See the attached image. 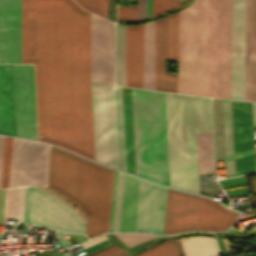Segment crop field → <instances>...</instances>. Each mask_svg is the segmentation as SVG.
Returning a JSON list of instances; mask_svg holds the SVG:
<instances>
[{"mask_svg": "<svg viewBox=\"0 0 256 256\" xmlns=\"http://www.w3.org/2000/svg\"><path fill=\"white\" fill-rule=\"evenodd\" d=\"M114 170L51 146L47 187L78 205L86 234L109 232Z\"/></svg>", "mask_w": 256, "mask_h": 256, "instance_id": "obj_4", "label": "crop field"}, {"mask_svg": "<svg viewBox=\"0 0 256 256\" xmlns=\"http://www.w3.org/2000/svg\"><path fill=\"white\" fill-rule=\"evenodd\" d=\"M171 242H172V245L174 247L176 256H185L182 245L180 243V240L177 239V240H173Z\"/></svg>", "mask_w": 256, "mask_h": 256, "instance_id": "obj_39", "label": "crop field"}, {"mask_svg": "<svg viewBox=\"0 0 256 256\" xmlns=\"http://www.w3.org/2000/svg\"><path fill=\"white\" fill-rule=\"evenodd\" d=\"M12 138L6 137L1 188L8 187Z\"/></svg>", "mask_w": 256, "mask_h": 256, "instance_id": "obj_27", "label": "crop field"}, {"mask_svg": "<svg viewBox=\"0 0 256 256\" xmlns=\"http://www.w3.org/2000/svg\"><path fill=\"white\" fill-rule=\"evenodd\" d=\"M84 9L99 14L107 18V1L108 0H75Z\"/></svg>", "mask_w": 256, "mask_h": 256, "instance_id": "obj_26", "label": "crop field"}, {"mask_svg": "<svg viewBox=\"0 0 256 256\" xmlns=\"http://www.w3.org/2000/svg\"><path fill=\"white\" fill-rule=\"evenodd\" d=\"M185 0H183V2H184Z\"/></svg>", "mask_w": 256, "mask_h": 256, "instance_id": "obj_51", "label": "crop field"}, {"mask_svg": "<svg viewBox=\"0 0 256 256\" xmlns=\"http://www.w3.org/2000/svg\"><path fill=\"white\" fill-rule=\"evenodd\" d=\"M4 142H5V137L0 136V183H1V173H2Z\"/></svg>", "mask_w": 256, "mask_h": 256, "instance_id": "obj_40", "label": "crop field"}, {"mask_svg": "<svg viewBox=\"0 0 256 256\" xmlns=\"http://www.w3.org/2000/svg\"><path fill=\"white\" fill-rule=\"evenodd\" d=\"M0 63H21V0H0Z\"/></svg>", "mask_w": 256, "mask_h": 256, "instance_id": "obj_13", "label": "crop field"}, {"mask_svg": "<svg viewBox=\"0 0 256 256\" xmlns=\"http://www.w3.org/2000/svg\"><path fill=\"white\" fill-rule=\"evenodd\" d=\"M166 11V0H152V16Z\"/></svg>", "mask_w": 256, "mask_h": 256, "instance_id": "obj_34", "label": "crop field"}, {"mask_svg": "<svg viewBox=\"0 0 256 256\" xmlns=\"http://www.w3.org/2000/svg\"><path fill=\"white\" fill-rule=\"evenodd\" d=\"M17 136L37 139L33 65H13Z\"/></svg>", "mask_w": 256, "mask_h": 256, "instance_id": "obj_10", "label": "crop field"}, {"mask_svg": "<svg viewBox=\"0 0 256 256\" xmlns=\"http://www.w3.org/2000/svg\"><path fill=\"white\" fill-rule=\"evenodd\" d=\"M116 85L125 86V26L116 24Z\"/></svg>", "mask_w": 256, "mask_h": 256, "instance_id": "obj_25", "label": "crop field"}, {"mask_svg": "<svg viewBox=\"0 0 256 256\" xmlns=\"http://www.w3.org/2000/svg\"><path fill=\"white\" fill-rule=\"evenodd\" d=\"M126 86L143 88V25L126 26Z\"/></svg>", "mask_w": 256, "mask_h": 256, "instance_id": "obj_14", "label": "crop field"}, {"mask_svg": "<svg viewBox=\"0 0 256 256\" xmlns=\"http://www.w3.org/2000/svg\"><path fill=\"white\" fill-rule=\"evenodd\" d=\"M127 246L131 247L143 240L157 237L159 235L142 234V233H126V234H114Z\"/></svg>", "mask_w": 256, "mask_h": 256, "instance_id": "obj_28", "label": "crop field"}, {"mask_svg": "<svg viewBox=\"0 0 256 256\" xmlns=\"http://www.w3.org/2000/svg\"><path fill=\"white\" fill-rule=\"evenodd\" d=\"M139 179L126 175L119 231H134Z\"/></svg>", "mask_w": 256, "mask_h": 256, "instance_id": "obj_19", "label": "crop field"}, {"mask_svg": "<svg viewBox=\"0 0 256 256\" xmlns=\"http://www.w3.org/2000/svg\"><path fill=\"white\" fill-rule=\"evenodd\" d=\"M18 188H10L8 217H17Z\"/></svg>", "mask_w": 256, "mask_h": 256, "instance_id": "obj_32", "label": "crop field"}, {"mask_svg": "<svg viewBox=\"0 0 256 256\" xmlns=\"http://www.w3.org/2000/svg\"><path fill=\"white\" fill-rule=\"evenodd\" d=\"M56 233H57V236H58L59 241H60V246H71V244L64 237L63 233H60V232H56Z\"/></svg>", "mask_w": 256, "mask_h": 256, "instance_id": "obj_44", "label": "crop field"}, {"mask_svg": "<svg viewBox=\"0 0 256 256\" xmlns=\"http://www.w3.org/2000/svg\"><path fill=\"white\" fill-rule=\"evenodd\" d=\"M175 60H179V12L175 14Z\"/></svg>", "mask_w": 256, "mask_h": 256, "instance_id": "obj_35", "label": "crop field"}, {"mask_svg": "<svg viewBox=\"0 0 256 256\" xmlns=\"http://www.w3.org/2000/svg\"><path fill=\"white\" fill-rule=\"evenodd\" d=\"M196 141L200 174L214 171L212 131L196 134Z\"/></svg>", "mask_w": 256, "mask_h": 256, "instance_id": "obj_23", "label": "crop field"}, {"mask_svg": "<svg viewBox=\"0 0 256 256\" xmlns=\"http://www.w3.org/2000/svg\"><path fill=\"white\" fill-rule=\"evenodd\" d=\"M180 240L186 256H222L215 238L193 237Z\"/></svg>", "mask_w": 256, "mask_h": 256, "instance_id": "obj_22", "label": "crop field"}, {"mask_svg": "<svg viewBox=\"0 0 256 256\" xmlns=\"http://www.w3.org/2000/svg\"><path fill=\"white\" fill-rule=\"evenodd\" d=\"M167 17L156 21L155 89L177 92V74L166 73Z\"/></svg>", "mask_w": 256, "mask_h": 256, "instance_id": "obj_17", "label": "crop field"}, {"mask_svg": "<svg viewBox=\"0 0 256 256\" xmlns=\"http://www.w3.org/2000/svg\"><path fill=\"white\" fill-rule=\"evenodd\" d=\"M127 171L135 175L130 88L122 87Z\"/></svg>", "mask_w": 256, "mask_h": 256, "instance_id": "obj_21", "label": "crop field"}, {"mask_svg": "<svg viewBox=\"0 0 256 256\" xmlns=\"http://www.w3.org/2000/svg\"><path fill=\"white\" fill-rule=\"evenodd\" d=\"M5 189H1L0 197V223H3Z\"/></svg>", "mask_w": 256, "mask_h": 256, "instance_id": "obj_41", "label": "crop field"}, {"mask_svg": "<svg viewBox=\"0 0 256 256\" xmlns=\"http://www.w3.org/2000/svg\"><path fill=\"white\" fill-rule=\"evenodd\" d=\"M136 175L199 194L195 133L212 130L210 98L131 88Z\"/></svg>", "mask_w": 256, "mask_h": 256, "instance_id": "obj_2", "label": "crop field"}, {"mask_svg": "<svg viewBox=\"0 0 256 256\" xmlns=\"http://www.w3.org/2000/svg\"><path fill=\"white\" fill-rule=\"evenodd\" d=\"M49 145L13 138L9 187L45 185Z\"/></svg>", "mask_w": 256, "mask_h": 256, "instance_id": "obj_8", "label": "crop field"}, {"mask_svg": "<svg viewBox=\"0 0 256 256\" xmlns=\"http://www.w3.org/2000/svg\"><path fill=\"white\" fill-rule=\"evenodd\" d=\"M105 239H107V237L106 236H103V237H100V238H98V239H95V240H93V241H90V242H88V243H86V244H84V245H82L84 248H86V247H88V246H91V245H93V244H95V243H98V242H100V241H103V240H105Z\"/></svg>", "mask_w": 256, "mask_h": 256, "instance_id": "obj_46", "label": "crop field"}, {"mask_svg": "<svg viewBox=\"0 0 256 256\" xmlns=\"http://www.w3.org/2000/svg\"><path fill=\"white\" fill-rule=\"evenodd\" d=\"M155 21L144 25V88L154 89Z\"/></svg>", "mask_w": 256, "mask_h": 256, "instance_id": "obj_20", "label": "crop field"}, {"mask_svg": "<svg viewBox=\"0 0 256 256\" xmlns=\"http://www.w3.org/2000/svg\"><path fill=\"white\" fill-rule=\"evenodd\" d=\"M182 4V0H167V11H170Z\"/></svg>", "mask_w": 256, "mask_h": 256, "instance_id": "obj_42", "label": "crop field"}, {"mask_svg": "<svg viewBox=\"0 0 256 256\" xmlns=\"http://www.w3.org/2000/svg\"><path fill=\"white\" fill-rule=\"evenodd\" d=\"M167 188L140 179L135 231L163 234Z\"/></svg>", "mask_w": 256, "mask_h": 256, "instance_id": "obj_12", "label": "crop field"}, {"mask_svg": "<svg viewBox=\"0 0 256 256\" xmlns=\"http://www.w3.org/2000/svg\"><path fill=\"white\" fill-rule=\"evenodd\" d=\"M208 0L180 12V92L207 96Z\"/></svg>", "mask_w": 256, "mask_h": 256, "instance_id": "obj_5", "label": "crop field"}, {"mask_svg": "<svg viewBox=\"0 0 256 256\" xmlns=\"http://www.w3.org/2000/svg\"><path fill=\"white\" fill-rule=\"evenodd\" d=\"M151 17V0H147V18Z\"/></svg>", "mask_w": 256, "mask_h": 256, "instance_id": "obj_48", "label": "crop field"}, {"mask_svg": "<svg viewBox=\"0 0 256 256\" xmlns=\"http://www.w3.org/2000/svg\"><path fill=\"white\" fill-rule=\"evenodd\" d=\"M216 239H217V238H216ZM219 240H220V242H221V245H222V248H223V250H224V253L226 254L225 249H224V246H223V243H222V240H221V239H219ZM219 240L217 239L219 246H221L220 243H219ZM222 248H220V249H221L222 254L224 255V253H223V251H222Z\"/></svg>", "mask_w": 256, "mask_h": 256, "instance_id": "obj_50", "label": "crop field"}, {"mask_svg": "<svg viewBox=\"0 0 256 256\" xmlns=\"http://www.w3.org/2000/svg\"><path fill=\"white\" fill-rule=\"evenodd\" d=\"M25 187H21L19 223H23Z\"/></svg>", "mask_w": 256, "mask_h": 256, "instance_id": "obj_38", "label": "crop field"}, {"mask_svg": "<svg viewBox=\"0 0 256 256\" xmlns=\"http://www.w3.org/2000/svg\"><path fill=\"white\" fill-rule=\"evenodd\" d=\"M137 256H175V253L169 241Z\"/></svg>", "mask_w": 256, "mask_h": 256, "instance_id": "obj_29", "label": "crop field"}, {"mask_svg": "<svg viewBox=\"0 0 256 256\" xmlns=\"http://www.w3.org/2000/svg\"><path fill=\"white\" fill-rule=\"evenodd\" d=\"M226 177L234 176L230 101L222 100Z\"/></svg>", "mask_w": 256, "mask_h": 256, "instance_id": "obj_24", "label": "crop field"}, {"mask_svg": "<svg viewBox=\"0 0 256 256\" xmlns=\"http://www.w3.org/2000/svg\"><path fill=\"white\" fill-rule=\"evenodd\" d=\"M137 6H118V17L127 20L136 19Z\"/></svg>", "mask_w": 256, "mask_h": 256, "instance_id": "obj_33", "label": "crop field"}, {"mask_svg": "<svg viewBox=\"0 0 256 256\" xmlns=\"http://www.w3.org/2000/svg\"><path fill=\"white\" fill-rule=\"evenodd\" d=\"M123 178H124V174L119 172L113 231H118V227H119Z\"/></svg>", "mask_w": 256, "mask_h": 256, "instance_id": "obj_30", "label": "crop field"}, {"mask_svg": "<svg viewBox=\"0 0 256 256\" xmlns=\"http://www.w3.org/2000/svg\"><path fill=\"white\" fill-rule=\"evenodd\" d=\"M22 62L35 63L39 139L95 160L90 14L72 0H22Z\"/></svg>", "mask_w": 256, "mask_h": 256, "instance_id": "obj_1", "label": "crop field"}, {"mask_svg": "<svg viewBox=\"0 0 256 256\" xmlns=\"http://www.w3.org/2000/svg\"><path fill=\"white\" fill-rule=\"evenodd\" d=\"M246 100L256 102V0H247Z\"/></svg>", "mask_w": 256, "mask_h": 256, "instance_id": "obj_16", "label": "crop field"}, {"mask_svg": "<svg viewBox=\"0 0 256 256\" xmlns=\"http://www.w3.org/2000/svg\"><path fill=\"white\" fill-rule=\"evenodd\" d=\"M232 0H209L208 96L231 99ZM246 0H233L232 99L245 100Z\"/></svg>", "mask_w": 256, "mask_h": 256, "instance_id": "obj_3", "label": "crop field"}, {"mask_svg": "<svg viewBox=\"0 0 256 256\" xmlns=\"http://www.w3.org/2000/svg\"><path fill=\"white\" fill-rule=\"evenodd\" d=\"M146 18V0H138L137 19Z\"/></svg>", "mask_w": 256, "mask_h": 256, "instance_id": "obj_36", "label": "crop field"}, {"mask_svg": "<svg viewBox=\"0 0 256 256\" xmlns=\"http://www.w3.org/2000/svg\"><path fill=\"white\" fill-rule=\"evenodd\" d=\"M0 134L16 136L12 65H0Z\"/></svg>", "mask_w": 256, "mask_h": 256, "instance_id": "obj_15", "label": "crop field"}, {"mask_svg": "<svg viewBox=\"0 0 256 256\" xmlns=\"http://www.w3.org/2000/svg\"><path fill=\"white\" fill-rule=\"evenodd\" d=\"M108 256H130L128 253H126L123 249L117 251V252H114Z\"/></svg>", "mask_w": 256, "mask_h": 256, "instance_id": "obj_47", "label": "crop field"}, {"mask_svg": "<svg viewBox=\"0 0 256 256\" xmlns=\"http://www.w3.org/2000/svg\"><path fill=\"white\" fill-rule=\"evenodd\" d=\"M167 58H174V14L168 17Z\"/></svg>", "mask_w": 256, "mask_h": 256, "instance_id": "obj_31", "label": "crop field"}, {"mask_svg": "<svg viewBox=\"0 0 256 256\" xmlns=\"http://www.w3.org/2000/svg\"><path fill=\"white\" fill-rule=\"evenodd\" d=\"M252 109H253L254 126H256V104L252 103Z\"/></svg>", "mask_w": 256, "mask_h": 256, "instance_id": "obj_49", "label": "crop field"}, {"mask_svg": "<svg viewBox=\"0 0 256 256\" xmlns=\"http://www.w3.org/2000/svg\"><path fill=\"white\" fill-rule=\"evenodd\" d=\"M236 176L255 173L251 103L232 101Z\"/></svg>", "mask_w": 256, "mask_h": 256, "instance_id": "obj_11", "label": "crop field"}, {"mask_svg": "<svg viewBox=\"0 0 256 256\" xmlns=\"http://www.w3.org/2000/svg\"><path fill=\"white\" fill-rule=\"evenodd\" d=\"M91 89L96 160L126 171L121 87Z\"/></svg>", "mask_w": 256, "mask_h": 256, "instance_id": "obj_6", "label": "crop field"}, {"mask_svg": "<svg viewBox=\"0 0 256 256\" xmlns=\"http://www.w3.org/2000/svg\"><path fill=\"white\" fill-rule=\"evenodd\" d=\"M236 212L229 211L220 204L200 197L197 229L222 231L234 222Z\"/></svg>", "mask_w": 256, "mask_h": 256, "instance_id": "obj_18", "label": "crop field"}, {"mask_svg": "<svg viewBox=\"0 0 256 256\" xmlns=\"http://www.w3.org/2000/svg\"><path fill=\"white\" fill-rule=\"evenodd\" d=\"M119 249H121V248L119 246L115 245V246H113V247H111L109 249H106V250H104V251H102L100 253H97V254H95L93 256H105V255H108V254H110V253H112L114 251H117Z\"/></svg>", "mask_w": 256, "mask_h": 256, "instance_id": "obj_43", "label": "crop field"}, {"mask_svg": "<svg viewBox=\"0 0 256 256\" xmlns=\"http://www.w3.org/2000/svg\"><path fill=\"white\" fill-rule=\"evenodd\" d=\"M91 81L114 84V23L92 14Z\"/></svg>", "mask_w": 256, "mask_h": 256, "instance_id": "obj_9", "label": "crop field"}, {"mask_svg": "<svg viewBox=\"0 0 256 256\" xmlns=\"http://www.w3.org/2000/svg\"><path fill=\"white\" fill-rule=\"evenodd\" d=\"M117 176H118V172H117V171H115L110 231H112V226H113V216H114V206H115V196H116Z\"/></svg>", "mask_w": 256, "mask_h": 256, "instance_id": "obj_37", "label": "crop field"}, {"mask_svg": "<svg viewBox=\"0 0 256 256\" xmlns=\"http://www.w3.org/2000/svg\"><path fill=\"white\" fill-rule=\"evenodd\" d=\"M24 223L66 232L84 233L85 221L51 194L26 187Z\"/></svg>", "mask_w": 256, "mask_h": 256, "instance_id": "obj_7", "label": "crop field"}, {"mask_svg": "<svg viewBox=\"0 0 256 256\" xmlns=\"http://www.w3.org/2000/svg\"><path fill=\"white\" fill-rule=\"evenodd\" d=\"M8 195H9V188L6 189L4 223H7Z\"/></svg>", "mask_w": 256, "mask_h": 256, "instance_id": "obj_45", "label": "crop field"}]
</instances>
